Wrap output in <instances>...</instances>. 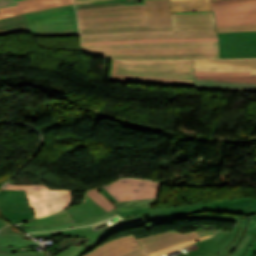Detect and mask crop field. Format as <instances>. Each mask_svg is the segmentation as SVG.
Wrapping results in <instances>:
<instances>
[{
	"label": "crop field",
	"mask_w": 256,
	"mask_h": 256,
	"mask_svg": "<svg viewBox=\"0 0 256 256\" xmlns=\"http://www.w3.org/2000/svg\"><path fill=\"white\" fill-rule=\"evenodd\" d=\"M91 55L128 60L219 58L218 42L131 43L82 46Z\"/></svg>",
	"instance_id": "1"
},
{
	"label": "crop field",
	"mask_w": 256,
	"mask_h": 256,
	"mask_svg": "<svg viewBox=\"0 0 256 256\" xmlns=\"http://www.w3.org/2000/svg\"><path fill=\"white\" fill-rule=\"evenodd\" d=\"M108 81L123 85L131 82L193 86L192 60L152 62L112 60Z\"/></svg>",
	"instance_id": "2"
},
{
	"label": "crop field",
	"mask_w": 256,
	"mask_h": 256,
	"mask_svg": "<svg viewBox=\"0 0 256 256\" xmlns=\"http://www.w3.org/2000/svg\"><path fill=\"white\" fill-rule=\"evenodd\" d=\"M173 31H128L81 36V43L142 38H217L212 12L172 13Z\"/></svg>",
	"instance_id": "3"
},
{
	"label": "crop field",
	"mask_w": 256,
	"mask_h": 256,
	"mask_svg": "<svg viewBox=\"0 0 256 256\" xmlns=\"http://www.w3.org/2000/svg\"><path fill=\"white\" fill-rule=\"evenodd\" d=\"M24 15L32 36H79L74 4Z\"/></svg>",
	"instance_id": "4"
},
{
	"label": "crop field",
	"mask_w": 256,
	"mask_h": 256,
	"mask_svg": "<svg viewBox=\"0 0 256 256\" xmlns=\"http://www.w3.org/2000/svg\"><path fill=\"white\" fill-rule=\"evenodd\" d=\"M77 15L80 28L145 24L144 5L79 10Z\"/></svg>",
	"instance_id": "5"
},
{
	"label": "crop field",
	"mask_w": 256,
	"mask_h": 256,
	"mask_svg": "<svg viewBox=\"0 0 256 256\" xmlns=\"http://www.w3.org/2000/svg\"><path fill=\"white\" fill-rule=\"evenodd\" d=\"M3 189L26 190L27 202L34 218L71 205V190H49L44 185H7Z\"/></svg>",
	"instance_id": "6"
},
{
	"label": "crop field",
	"mask_w": 256,
	"mask_h": 256,
	"mask_svg": "<svg viewBox=\"0 0 256 256\" xmlns=\"http://www.w3.org/2000/svg\"><path fill=\"white\" fill-rule=\"evenodd\" d=\"M248 220L242 219L232 233L217 232L208 240L181 249L184 254L179 256H237L231 252L242 240Z\"/></svg>",
	"instance_id": "7"
},
{
	"label": "crop field",
	"mask_w": 256,
	"mask_h": 256,
	"mask_svg": "<svg viewBox=\"0 0 256 256\" xmlns=\"http://www.w3.org/2000/svg\"><path fill=\"white\" fill-rule=\"evenodd\" d=\"M146 25L87 28L80 29V34L108 33L127 30H172L169 0H145Z\"/></svg>",
	"instance_id": "8"
},
{
	"label": "crop field",
	"mask_w": 256,
	"mask_h": 256,
	"mask_svg": "<svg viewBox=\"0 0 256 256\" xmlns=\"http://www.w3.org/2000/svg\"><path fill=\"white\" fill-rule=\"evenodd\" d=\"M217 27L256 24V0L212 1Z\"/></svg>",
	"instance_id": "9"
},
{
	"label": "crop field",
	"mask_w": 256,
	"mask_h": 256,
	"mask_svg": "<svg viewBox=\"0 0 256 256\" xmlns=\"http://www.w3.org/2000/svg\"><path fill=\"white\" fill-rule=\"evenodd\" d=\"M157 199L158 198H152L113 203L117 207L113 211L115 214L125 217L133 215H179L197 212L211 213L212 210L211 202L179 208L151 210L150 204H155Z\"/></svg>",
	"instance_id": "10"
},
{
	"label": "crop field",
	"mask_w": 256,
	"mask_h": 256,
	"mask_svg": "<svg viewBox=\"0 0 256 256\" xmlns=\"http://www.w3.org/2000/svg\"><path fill=\"white\" fill-rule=\"evenodd\" d=\"M220 58L256 57V32L218 33Z\"/></svg>",
	"instance_id": "11"
},
{
	"label": "crop field",
	"mask_w": 256,
	"mask_h": 256,
	"mask_svg": "<svg viewBox=\"0 0 256 256\" xmlns=\"http://www.w3.org/2000/svg\"><path fill=\"white\" fill-rule=\"evenodd\" d=\"M105 188L118 200H132L159 197L161 184L132 179H120L105 185Z\"/></svg>",
	"instance_id": "12"
},
{
	"label": "crop field",
	"mask_w": 256,
	"mask_h": 256,
	"mask_svg": "<svg viewBox=\"0 0 256 256\" xmlns=\"http://www.w3.org/2000/svg\"><path fill=\"white\" fill-rule=\"evenodd\" d=\"M196 90L252 92L256 89V75L251 76H195Z\"/></svg>",
	"instance_id": "13"
},
{
	"label": "crop field",
	"mask_w": 256,
	"mask_h": 256,
	"mask_svg": "<svg viewBox=\"0 0 256 256\" xmlns=\"http://www.w3.org/2000/svg\"><path fill=\"white\" fill-rule=\"evenodd\" d=\"M0 210L3 216L13 223L33 218L26 203L25 191L0 190Z\"/></svg>",
	"instance_id": "14"
},
{
	"label": "crop field",
	"mask_w": 256,
	"mask_h": 256,
	"mask_svg": "<svg viewBox=\"0 0 256 256\" xmlns=\"http://www.w3.org/2000/svg\"><path fill=\"white\" fill-rule=\"evenodd\" d=\"M198 238L195 231L179 233L177 231H167L153 236L137 239L147 253L165 248L177 243Z\"/></svg>",
	"instance_id": "15"
},
{
	"label": "crop field",
	"mask_w": 256,
	"mask_h": 256,
	"mask_svg": "<svg viewBox=\"0 0 256 256\" xmlns=\"http://www.w3.org/2000/svg\"><path fill=\"white\" fill-rule=\"evenodd\" d=\"M140 248L134 235L108 241L83 256H119Z\"/></svg>",
	"instance_id": "16"
},
{
	"label": "crop field",
	"mask_w": 256,
	"mask_h": 256,
	"mask_svg": "<svg viewBox=\"0 0 256 256\" xmlns=\"http://www.w3.org/2000/svg\"><path fill=\"white\" fill-rule=\"evenodd\" d=\"M71 3L73 0H23L19 5L1 8L0 18Z\"/></svg>",
	"instance_id": "17"
},
{
	"label": "crop field",
	"mask_w": 256,
	"mask_h": 256,
	"mask_svg": "<svg viewBox=\"0 0 256 256\" xmlns=\"http://www.w3.org/2000/svg\"><path fill=\"white\" fill-rule=\"evenodd\" d=\"M212 206V213L247 216L256 214V210H252V198L250 197L212 202Z\"/></svg>",
	"instance_id": "18"
},
{
	"label": "crop field",
	"mask_w": 256,
	"mask_h": 256,
	"mask_svg": "<svg viewBox=\"0 0 256 256\" xmlns=\"http://www.w3.org/2000/svg\"><path fill=\"white\" fill-rule=\"evenodd\" d=\"M187 218L186 215L180 216H133L123 218L120 222L113 225L118 231L128 229L136 226H143L146 224V229L153 224H165V223H173L172 220Z\"/></svg>",
	"instance_id": "19"
},
{
	"label": "crop field",
	"mask_w": 256,
	"mask_h": 256,
	"mask_svg": "<svg viewBox=\"0 0 256 256\" xmlns=\"http://www.w3.org/2000/svg\"><path fill=\"white\" fill-rule=\"evenodd\" d=\"M74 221L107 212L88 196L84 204L66 209Z\"/></svg>",
	"instance_id": "20"
},
{
	"label": "crop field",
	"mask_w": 256,
	"mask_h": 256,
	"mask_svg": "<svg viewBox=\"0 0 256 256\" xmlns=\"http://www.w3.org/2000/svg\"><path fill=\"white\" fill-rule=\"evenodd\" d=\"M17 32H30L23 14L0 19V36Z\"/></svg>",
	"instance_id": "21"
},
{
	"label": "crop field",
	"mask_w": 256,
	"mask_h": 256,
	"mask_svg": "<svg viewBox=\"0 0 256 256\" xmlns=\"http://www.w3.org/2000/svg\"><path fill=\"white\" fill-rule=\"evenodd\" d=\"M118 232L112 226L104 228L99 231L98 235L96 236L95 240L86 248L83 246H71L68 249L64 250L63 252L55 255V256H81L86 252L94 249L97 245L108 235Z\"/></svg>",
	"instance_id": "22"
},
{
	"label": "crop field",
	"mask_w": 256,
	"mask_h": 256,
	"mask_svg": "<svg viewBox=\"0 0 256 256\" xmlns=\"http://www.w3.org/2000/svg\"><path fill=\"white\" fill-rule=\"evenodd\" d=\"M172 12L213 11L211 0H170Z\"/></svg>",
	"instance_id": "23"
},
{
	"label": "crop field",
	"mask_w": 256,
	"mask_h": 256,
	"mask_svg": "<svg viewBox=\"0 0 256 256\" xmlns=\"http://www.w3.org/2000/svg\"><path fill=\"white\" fill-rule=\"evenodd\" d=\"M194 66H250L251 74H256V59L194 60Z\"/></svg>",
	"instance_id": "24"
},
{
	"label": "crop field",
	"mask_w": 256,
	"mask_h": 256,
	"mask_svg": "<svg viewBox=\"0 0 256 256\" xmlns=\"http://www.w3.org/2000/svg\"><path fill=\"white\" fill-rule=\"evenodd\" d=\"M90 227H81L77 229H69V230H63V231H57V232H40V233H30V235L33 238L38 237H44V236H50V235H61L64 234L65 237H85V238H91L88 242L87 246L94 240L97 232H91L89 230ZM86 246V247H87Z\"/></svg>",
	"instance_id": "25"
},
{
	"label": "crop field",
	"mask_w": 256,
	"mask_h": 256,
	"mask_svg": "<svg viewBox=\"0 0 256 256\" xmlns=\"http://www.w3.org/2000/svg\"><path fill=\"white\" fill-rule=\"evenodd\" d=\"M72 219L67 211L64 209L57 213H54L48 217L36 219L30 222L25 223L26 227H43V226H52L60 223L71 222Z\"/></svg>",
	"instance_id": "26"
},
{
	"label": "crop field",
	"mask_w": 256,
	"mask_h": 256,
	"mask_svg": "<svg viewBox=\"0 0 256 256\" xmlns=\"http://www.w3.org/2000/svg\"><path fill=\"white\" fill-rule=\"evenodd\" d=\"M250 219L251 221H249L246 227L243 240L238 244L236 249L233 251V253L239 256H243L246 253L255 237L253 233L256 231V216Z\"/></svg>",
	"instance_id": "27"
},
{
	"label": "crop field",
	"mask_w": 256,
	"mask_h": 256,
	"mask_svg": "<svg viewBox=\"0 0 256 256\" xmlns=\"http://www.w3.org/2000/svg\"><path fill=\"white\" fill-rule=\"evenodd\" d=\"M0 246L4 247H40L37 243L34 241L23 239V237H20L16 234H3L0 235Z\"/></svg>",
	"instance_id": "28"
},
{
	"label": "crop field",
	"mask_w": 256,
	"mask_h": 256,
	"mask_svg": "<svg viewBox=\"0 0 256 256\" xmlns=\"http://www.w3.org/2000/svg\"><path fill=\"white\" fill-rule=\"evenodd\" d=\"M179 41H218L213 38H194V39H143V40H127V41H113V42H101V43H88L90 44H114V43H130V42H179Z\"/></svg>",
	"instance_id": "29"
},
{
	"label": "crop field",
	"mask_w": 256,
	"mask_h": 256,
	"mask_svg": "<svg viewBox=\"0 0 256 256\" xmlns=\"http://www.w3.org/2000/svg\"><path fill=\"white\" fill-rule=\"evenodd\" d=\"M87 195L102 206L107 211L116 208L109 200H107L97 189L89 190Z\"/></svg>",
	"instance_id": "30"
},
{
	"label": "crop field",
	"mask_w": 256,
	"mask_h": 256,
	"mask_svg": "<svg viewBox=\"0 0 256 256\" xmlns=\"http://www.w3.org/2000/svg\"><path fill=\"white\" fill-rule=\"evenodd\" d=\"M195 71L250 72L249 67H194Z\"/></svg>",
	"instance_id": "31"
},
{
	"label": "crop field",
	"mask_w": 256,
	"mask_h": 256,
	"mask_svg": "<svg viewBox=\"0 0 256 256\" xmlns=\"http://www.w3.org/2000/svg\"><path fill=\"white\" fill-rule=\"evenodd\" d=\"M212 235H209V236H204V237H201V238H198V239H194V240H191V241H188V242H184V243H181V244H177V245H174V246H171V247H168V248H165V249H162V250H158V251H155V252H152V253H149L148 255L149 256H160V255H164V254H167L175 249H178V248H181V247H184L186 245H189V244H192V243H195L199 240H202V239H206V238H209L211 237Z\"/></svg>",
	"instance_id": "32"
},
{
	"label": "crop field",
	"mask_w": 256,
	"mask_h": 256,
	"mask_svg": "<svg viewBox=\"0 0 256 256\" xmlns=\"http://www.w3.org/2000/svg\"><path fill=\"white\" fill-rule=\"evenodd\" d=\"M115 215L113 213V211H109L105 214H101V215H98V216H95V217H92V218H89V219H85V220H81V221H77V222H74V225L75 227L77 226H84V225H91V224H95L103 219H107L111 216Z\"/></svg>",
	"instance_id": "33"
},
{
	"label": "crop field",
	"mask_w": 256,
	"mask_h": 256,
	"mask_svg": "<svg viewBox=\"0 0 256 256\" xmlns=\"http://www.w3.org/2000/svg\"><path fill=\"white\" fill-rule=\"evenodd\" d=\"M189 221H196V220H219V221H233L237 222L241 220L240 218H232V217H222V216H212V215H193V216H187Z\"/></svg>",
	"instance_id": "34"
},
{
	"label": "crop field",
	"mask_w": 256,
	"mask_h": 256,
	"mask_svg": "<svg viewBox=\"0 0 256 256\" xmlns=\"http://www.w3.org/2000/svg\"><path fill=\"white\" fill-rule=\"evenodd\" d=\"M217 31H218V32L256 31V25L221 27V28H217Z\"/></svg>",
	"instance_id": "35"
},
{
	"label": "crop field",
	"mask_w": 256,
	"mask_h": 256,
	"mask_svg": "<svg viewBox=\"0 0 256 256\" xmlns=\"http://www.w3.org/2000/svg\"><path fill=\"white\" fill-rule=\"evenodd\" d=\"M124 5L120 2H110V3H102V4H94V5H86V6H76L77 10L79 9H87V8H98V7H107V6H117Z\"/></svg>",
	"instance_id": "36"
},
{
	"label": "crop field",
	"mask_w": 256,
	"mask_h": 256,
	"mask_svg": "<svg viewBox=\"0 0 256 256\" xmlns=\"http://www.w3.org/2000/svg\"><path fill=\"white\" fill-rule=\"evenodd\" d=\"M0 256H44V252H20L14 253V255L0 254Z\"/></svg>",
	"instance_id": "37"
},
{
	"label": "crop field",
	"mask_w": 256,
	"mask_h": 256,
	"mask_svg": "<svg viewBox=\"0 0 256 256\" xmlns=\"http://www.w3.org/2000/svg\"><path fill=\"white\" fill-rule=\"evenodd\" d=\"M195 75H250V73L195 72Z\"/></svg>",
	"instance_id": "38"
},
{
	"label": "crop field",
	"mask_w": 256,
	"mask_h": 256,
	"mask_svg": "<svg viewBox=\"0 0 256 256\" xmlns=\"http://www.w3.org/2000/svg\"><path fill=\"white\" fill-rule=\"evenodd\" d=\"M98 190L111 202H117V200L104 188V186L98 188Z\"/></svg>",
	"instance_id": "39"
},
{
	"label": "crop field",
	"mask_w": 256,
	"mask_h": 256,
	"mask_svg": "<svg viewBox=\"0 0 256 256\" xmlns=\"http://www.w3.org/2000/svg\"><path fill=\"white\" fill-rule=\"evenodd\" d=\"M254 234L256 235V232ZM244 256H256V237H255L250 249L247 251V253Z\"/></svg>",
	"instance_id": "40"
},
{
	"label": "crop field",
	"mask_w": 256,
	"mask_h": 256,
	"mask_svg": "<svg viewBox=\"0 0 256 256\" xmlns=\"http://www.w3.org/2000/svg\"><path fill=\"white\" fill-rule=\"evenodd\" d=\"M122 256H146V254L144 253V251L142 250V248L128 252Z\"/></svg>",
	"instance_id": "41"
},
{
	"label": "crop field",
	"mask_w": 256,
	"mask_h": 256,
	"mask_svg": "<svg viewBox=\"0 0 256 256\" xmlns=\"http://www.w3.org/2000/svg\"><path fill=\"white\" fill-rule=\"evenodd\" d=\"M16 4L17 2L15 0H0V8Z\"/></svg>",
	"instance_id": "42"
},
{
	"label": "crop field",
	"mask_w": 256,
	"mask_h": 256,
	"mask_svg": "<svg viewBox=\"0 0 256 256\" xmlns=\"http://www.w3.org/2000/svg\"><path fill=\"white\" fill-rule=\"evenodd\" d=\"M199 237L200 236H204V235H208V234H215V230H196Z\"/></svg>",
	"instance_id": "43"
},
{
	"label": "crop field",
	"mask_w": 256,
	"mask_h": 256,
	"mask_svg": "<svg viewBox=\"0 0 256 256\" xmlns=\"http://www.w3.org/2000/svg\"><path fill=\"white\" fill-rule=\"evenodd\" d=\"M94 1H101V0H78V1H75V4L84 3V2H94Z\"/></svg>",
	"instance_id": "44"
},
{
	"label": "crop field",
	"mask_w": 256,
	"mask_h": 256,
	"mask_svg": "<svg viewBox=\"0 0 256 256\" xmlns=\"http://www.w3.org/2000/svg\"><path fill=\"white\" fill-rule=\"evenodd\" d=\"M6 224H9L8 222H6L1 216H0V228Z\"/></svg>",
	"instance_id": "45"
},
{
	"label": "crop field",
	"mask_w": 256,
	"mask_h": 256,
	"mask_svg": "<svg viewBox=\"0 0 256 256\" xmlns=\"http://www.w3.org/2000/svg\"><path fill=\"white\" fill-rule=\"evenodd\" d=\"M253 209H256V199H253Z\"/></svg>",
	"instance_id": "46"
},
{
	"label": "crop field",
	"mask_w": 256,
	"mask_h": 256,
	"mask_svg": "<svg viewBox=\"0 0 256 256\" xmlns=\"http://www.w3.org/2000/svg\"><path fill=\"white\" fill-rule=\"evenodd\" d=\"M16 1H18V0H16Z\"/></svg>",
	"instance_id": "47"
}]
</instances>
